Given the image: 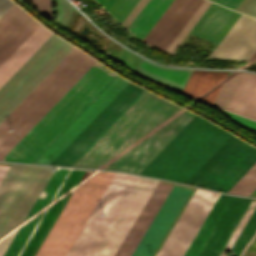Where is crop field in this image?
Here are the masks:
<instances>
[{"label": "crop field", "mask_w": 256, "mask_h": 256, "mask_svg": "<svg viewBox=\"0 0 256 256\" xmlns=\"http://www.w3.org/2000/svg\"><path fill=\"white\" fill-rule=\"evenodd\" d=\"M73 48L41 25L23 42L0 66V123ZM75 48L0 124V160L95 63Z\"/></svg>", "instance_id": "1"}, {"label": "crop field", "mask_w": 256, "mask_h": 256, "mask_svg": "<svg viewBox=\"0 0 256 256\" xmlns=\"http://www.w3.org/2000/svg\"><path fill=\"white\" fill-rule=\"evenodd\" d=\"M193 116L144 90L71 166L138 174Z\"/></svg>", "instance_id": "2"}, {"label": "crop field", "mask_w": 256, "mask_h": 256, "mask_svg": "<svg viewBox=\"0 0 256 256\" xmlns=\"http://www.w3.org/2000/svg\"><path fill=\"white\" fill-rule=\"evenodd\" d=\"M112 175L86 170L35 256L65 255ZM139 179L114 173L65 256L95 254Z\"/></svg>", "instance_id": "3"}, {"label": "crop field", "mask_w": 256, "mask_h": 256, "mask_svg": "<svg viewBox=\"0 0 256 256\" xmlns=\"http://www.w3.org/2000/svg\"><path fill=\"white\" fill-rule=\"evenodd\" d=\"M129 83L116 75L32 163L51 164ZM142 90L130 83L52 164L70 166Z\"/></svg>", "instance_id": "4"}, {"label": "crop field", "mask_w": 256, "mask_h": 256, "mask_svg": "<svg viewBox=\"0 0 256 256\" xmlns=\"http://www.w3.org/2000/svg\"><path fill=\"white\" fill-rule=\"evenodd\" d=\"M115 75L96 62L2 160L31 163Z\"/></svg>", "instance_id": "5"}, {"label": "crop field", "mask_w": 256, "mask_h": 256, "mask_svg": "<svg viewBox=\"0 0 256 256\" xmlns=\"http://www.w3.org/2000/svg\"><path fill=\"white\" fill-rule=\"evenodd\" d=\"M230 135L195 115L139 174L185 183Z\"/></svg>", "instance_id": "6"}, {"label": "crop field", "mask_w": 256, "mask_h": 256, "mask_svg": "<svg viewBox=\"0 0 256 256\" xmlns=\"http://www.w3.org/2000/svg\"><path fill=\"white\" fill-rule=\"evenodd\" d=\"M85 170L60 168L38 197L3 256H34Z\"/></svg>", "instance_id": "7"}, {"label": "crop field", "mask_w": 256, "mask_h": 256, "mask_svg": "<svg viewBox=\"0 0 256 256\" xmlns=\"http://www.w3.org/2000/svg\"><path fill=\"white\" fill-rule=\"evenodd\" d=\"M55 167L11 164L0 183V256Z\"/></svg>", "instance_id": "8"}, {"label": "crop field", "mask_w": 256, "mask_h": 256, "mask_svg": "<svg viewBox=\"0 0 256 256\" xmlns=\"http://www.w3.org/2000/svg\"><path fill=\"white\" fill-rule=\"evenodd\" d=\"M256 162V148L230 136L186 182L227 192Z\"/></svg>", "instance_id": "9"}, {"label": "crop field", "mask_w": 256, "mask_h": 256, "mask_svg": "<svg viewBox=\"0 0 256 256\" xmlns=\"http://www.w3.org/2000/svg\"><path fill=\"white\" fill-rule=\"evenodd\" d=\"M198 189L156 256H182L184 254L219 196L218 193Z\"/></svg>", "instance_id": "10"}, {"label": "crop field", "mask_w": 256, "mask_h": 256, "mask_svg": "<svg viewBox=\"0 0 256 256\" xmlns=\"http://www.w3.org/2000/svg\"><path fill=\"white\" fill-rule=\"evenodd\" d=\"M157 182L141 177L94 256H113Z\"/></svg>", "instance_id": "11"}, {"label": "crop field", "mask_w": 256, "mask_h": 256, "mask_svg": "<svg viewBox=\"0 0 256 256\" xmlns=\"http://www.w3.org/2000/svg\"><path fill=\"white\" fill-rule=\"evenodd\" d=\"M190 192L173 186L132 256H152Z\"/></svg>", "instance_id": "12"}, {"label": "crop field", "mask_w": 256, "mask_h": 256, "mask_svg": "<svg viewBox=\"0 0 256 256\" xmlns=\"http://www.w3.org/2000/svg\"><path fill=\"white\" fill-rule=\"evenodd\" d=\"M202 1L173 0L143 41L165 50Z\"/></svg>", "instance_id": "13"}, {"label": "crop field", "mask_w": 256, "mask_h": 256, "mask_svg": "<svg viewBox=\"0 0 256 256\" xmlns=\"http://www.w3.org/2000/svg\"><path fill=\"white\" fill-rule=\"evenodd\" d=\"M255 51L256 21L241 15L209 57L249 60Z\"/></svg>", "instance_id": "14"}, {"label": "crop field", "mask_w": 256, "mask_h": 256, "mask_svg": "<svg viewBox=\"0 0 256 256\" xmlns=\"http://www.w3.org/2000/svg\"><path fill=\"white\" fill-rule=\"evenodd\" d=\"M27 13L15 4L0 18V52L32 20ZM34 19L17 35V37L0 53V65L22 44V42L39 26Z\"/></svg>", "instance_id": "15"}, {"label": "crop field", "mask_w": 256, "mask_h": 256, "mask_svg": "<svg viewBox=\"0 0 256 256\" xmlns=\"http://www.w3.org/2000/svg\"><path fill=\"white\" fill-rule=\"evenodd\" d=\"M171 188L158 183L114 256H131Z\"/></svg>", "instance_id": "16"}, {"label": "crop field", "mask_w": 256, "mask_h": 256, "mask_svg": "<svg viewBox=\"0 0 256 256\" xmlns=\"http://www.w3.org/2000/svg\"><path fill=\"white\" fill-rule=\"evenodd\" d=\"M251 199L232 197L197 256H217Z\"/></svg>", "instance_id": "17"}, {"label": "crop field", "mask_w": 256, "mask_h": 256, "mask_svg": "<svg viewBox=\"0 0 256 256\" xmlns=\"http://www.w3.org/2000/svg\"><path fill=\"white\" fill-rule=\"evenodd\" d=\"M239 16L238 13L211 3L191 32L220 42Z\"/></svg>", "instance_id": "18"}, {"label": "crop field", "mask_w": 256, "mask_h": 256, "mask_svg": "<svg viewBox=\"0 0 256 256\" xmlns=\"http://www.w3.org/2000/svg\"><path fill=\"white\" fill-rule=\"evenodd\" d=\"M228 72L193 70L182 93L213 104Z\"/></svg>", "instance_id": "19"}, {"label": "crop field", "mask_w": 256, "mask_h": 256, "mask_svg": "<svg viewBox=\"0 0 256 256\" xmlns=\"http://www.w3.org/2000/svg\"><path fill=\"white\" fill-rule=\"evenodd\" d=\"M192 70L165 68L141 59L135 73L181 92Z\"/></svg>", "instance_id": "20"}, {"label": "crop field", "mask_w": 256, "mask_h": 256, "mask_svg": "<svg viewBox=\"0 0 256 256\" xmlns=\"http://www.w3.org/2000/svg\"><path fill=\"white\" fill-rule=\"evenodd\" d=\"M228 110L256 119V74L245 73Z\"/></svg>", "instance_id": "21"}, {"label": "crop field", "mask_w": 256, "mask_h": 256, "mask_svg": "<svg viewBox=\"0 0 256 256\" xmlns=\"http://www.w3.org/2000/svg\"><path fill=\"white\" fill-rule=\"evenodd\" d=\"M231 196L220 194L190 246L183 256H196L230 201Z\"/></svg>", "instance_id": "22"}, {"label": "crop field", "mask_w": 256, "mask_h": 256, "mask_svg": "<svg viewBox=\"0 0 256 256\" xmlns=\"http://www.w3.org/2000/svg\"><path fill=\"white\" fill-rule=\"evenodd\" d=\"M171 1L149 0L128 29L142 40Z\"/></svg>", "instance_id": "23"}, {"label": "crop field", "mask_w": 256, "mask_h": 256, "mask_svg": "<svg viewBox=\"0 0 256 256\" xmlns=\"http://www.w3.org/2000/svg\"><path fill=\"white\" fill-rule=\"evenodd\" d=\"M255 208V207H254ZM254 210V209H253ZM252 213V212H251ZM251 215V214H250ZM250 217V216H249ZM248 217V218H249ZM248 220V219H247ZM247 220H246V222H247ZM245 222V223H246ZM245 225V224H244ZM244 225H243V227H244ZM242 227V228H243ZM242 230V229H241ZM241 230H240V232H241ZM255 231H256V208H255V210L253 211V213H252V215H251V217L249 218V220H248V222L246 223V225H245V227L243 228V230H242V232L240 233V235H239V237H238V235H237V237H238V239H237V237H236V242H235V240H234V242H235V244H234V242H233V247H232V245H231V247H232V249H231V247H230V249L237 255V256H239L240 255V253L242 252V250H243V248L245 247V245L247 244V242L252 238V236H253V234L255 233ZM228 250L231 254H233L234 256H236L231 250Z\"/></svg>", "instance_id": "24"}, {"label": "crop field", "mask_w": 256, "mask_h": 256, "mask_svg": "<svg viewBox=\"0 0 256 256\" xmlns=\"http://www.w3.org/2000/svg\"><path fill=\"white\" fill-rule=\"evenodd\" d=\"M256 189V163L228 191L229 193L249 196Z\"/></svg>", "instance_id": "25"}, {"label": "crop field", "mask_w": 256, "mask_h": 256, "mask_svg": "<svg viewBox=\"0 0 256 256\" xmlns=\"http://www.w3.org/2000/svg\"><path fill=\"white\" fill-rule=\"evenodd\" d=\"M209 4H210V2H208L206 0L203 1V3L200 5V7L196 10V12L189 19V21L185 24V26L181 29V31L178 33V35L174 38V40L167 47L166 51H169L171 53L174 52V50L177 48V46L180 44V42L183 40V38L186 36V34L190 31V29L193 27V25L196 23V21L199 19V17L203 14V12L206 10V8L209 6Z\"/></svg>", "instance_id": "26"}, {"label": "crop field", "mask_w": 256, "mask_h": 256, "mask_svg": "<svg viewBox=\"0 0 256 256\" xmlns=\"http://www.w3.org/2000/svg\"><path fill=\"white\" fill-rule=\"evenodd\" d=\"M138 0H115L107 10L121 23Z\"/></svg>", "instance_id": "27"}, {"label": "crop field", "mask_w": 256, "mask_h": 256, "mask_svg": "<svg viewBox=\"0 0 256 256\" xmlns=\"http://www.w3.org/2000/svg\"><path fill=\"white\" fill-rule=\"evenodd\" d=\"M39 12L51 21L54 19V4L52 0H28Z\"/></svg>", "instance_id": "28"}, {"label": "crop field", "mask_w": 256, "mask_h": 256, "mask_svg": "<svg viewBox=\"0 0 256 256\" xmlns=\"http://www.w3.org/2000/svg\"><path fill=\"white\" fill-rule=\"evenodd\" d=\"M56 1L58 4L59 23L65 27L74 8L70 4H68L65 0H56Z\"/></svg>", "instance_id": "29"}, {"label": "crop field", "mask_w": 256, "mask_h": 256, "mask_svg": "<svg viewBox=\"0 0 256 256\" xmlns=\"http://www.w3.org/2000/svg\"><path fill=\"white\" fill-rule=\"evenodd\" d=\"M255 204L256 202L251 201L250 205L248 206L247 210L245 211L244 215L242 216L241 220L239 221L238 225L236 226L235 230L233 231L232 235L230 236L229 240L227 241L226 245L224 246L219 256L225 255L229 246L231 245L232 241L236 237L237 233L239 232L240 228L242 227L243 223L245 222L246 218L248 217L249 213L251 212Z\"/></svg>", "instance_id": "30"}, {"label": "crop field", "mask_w": 256, "mask_h": 256, "mask_svg": "<svg viewBox=\"0 0 256 256\" xmlns=\"http://www.w3.org/2000/svg\"><path fill=\"white\" fill-rule=\"evenodd\" d=\"M220 111L222 113H224L226 116H228L231 120H233L239 126L256 132V122L255 121L231 114V113L223 111V110H220Z\"/></svg>", "instance_id": "31"}, {"label": "crop field", "mask_w": 256, "mask_h": 256, "mask_svg": "<svg viewBox=\"0 0 256 256\" xmlns=\"http://www.w3.org/2000/svg\"><path fill=\"white\" fill-rule=\"evenodd\" d=\"M236 11L256 18V0H243Z\"/></svg>", "instance_id": "32"}, {"label": "crop field", "mask_w": 256, "mask_h": 256, "mask_svg": "<svg viewBox=\"0 0 256 256\" xmlns=\"http://www.w3.org/2000/svg\"><path fill=\"white\" fill-rule=\"evenodd\" d=\"M211 1L235 10L242 0H211Z\"/></svg>", "instance_id": "33"}, {"label": "crop field", "mask_w": 256, "mask_h": 256, "mask_svg": "<svg viewBox=\"0 0 256 256\" xmlns=\"http://www.w3.org/2000/svg\"><path fill=\"white\" fill-rule=\"evenodd\" d=\"M241 256H256V236Z\"/></svg>", "instance_id": "34"}, {"label": "crop field", "mask_w": 256, "mask_h": 256, "mask_svg": "<svg viewBox=\"0 0 256 256\" xmlns=\"http://www.w3.org/2000/svg\"><path fill=\"white\" fill-rule=\"evenodd\" d=\"M10 0H0V17L13 5Z\"/></svg>", "instance_id": "35"}, {"label": "crop field", "mask_w": 256, "mask_h": 256, "mask_svg": "<svg viewBox=\"0 0 256 256\" xmlns=\"http://www.w3.org/2000/svg\"><path fill=\"white\" fill-rule=\"evenodd\" d=\"M96 1L107 10L114 0H96Z\"/></svg>", "instance_id": "36"}, {"label": "crop field", "mask_w": 256, "mask_h": 256, "mask_svg": "<svg viewBox=\"0 0 256 256\" xmlns=\"http://www.w3.org/2000/svg\"><path fill=\"white\" fill-rule=\"evenodd\" d=\"M8 168L9 166L0 165V181L2 180Z\"/></svg>", "instance_id": "37"}, {"label": "crop field", "mask_w": 256, "mask_h": 256, "mask_svg": "<svg viewBox=\"0 0 256 256\" xmlns=\"http://www.w3.org/2000/svg\"><path fill=\"white\" fill-rule=\"evenodd\" d=\"M226 256V255H225Z\"/></svg>", "instance_id": "38"}]
</instances>
